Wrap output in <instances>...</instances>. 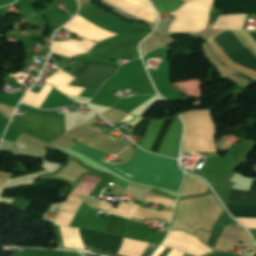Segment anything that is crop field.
Returning a JSON list of instances; mask_svg holds the SVG:
<instances>
[{
    "mask_svg": "<svg viewBox=\"0 0 256 256\" xmlns=\"http://www.w3.org/2000/svg\"><path fill=\"white\" fill-rule=\"evenodd\" d=\"M146 231L145 223L110 215L104 232L143 241Z\"/></svg>",
    "mask_w": 256,
    "mask_h": 256,
    "instance_id": "crop-field-8",
    "label": "crop field"
},
{
    "mask_svg": "<svg viewBox=\"0 0 256 256\" xmlns=\"http://www.w3.org/2000/svg\"><path fill=\"white\" fill-rule=\"evenodd\" d=\"M71 65L80 68L71 74L76 79L70 85L90 88H99L107 78L115 74L118 68L104 63H80L76 61Z\"/></svg>",
    "mask_w": 256,
    "mask_h": 256,
    "instance_id": "crop-field-6",
    "label": "crop field"
},
{
    "mask_svg": "<svg viewBox=\"0 0 256 256\" xmlns=\"http://www.w3.org/2000/svg\"><path fill=\"white\" fill-rule=\"evenodd\" d=\"M80 234L85 245L101 248L102 251L117 254L122 243V237L80 228Z\"/></svg>",
    "mask_w": 256,
    "mask_h": 256,
    "instance_id": "crop-field-9",
    "label": "crop field"
},
{
    "mask_svg": "<svg viewBox=\"0 0 256 256\" xmlns=\"http://www.w3.org/2000/svg\"><path fill=\"white\" fill-rule=\"evenodd\" d=\"M82 202V200H79L77 198L67 197L66 201L60 204L59 209L67 212L77 213Z\"/></svg>",
    "mask_w": 256,
    "mask_h": 256,
    "instance_id": "crop-field-15",
    "label": "crop field"
},
{
    "mask_svg": "<svg viewBox=\"0 0 256 256\" xmlns=\"http://www.w3.org/2000/svg\"><path fill=\"white\" fill-rule=\"evenodd\" d=\"M214 0H192L171 14L175 19L169 32L202 33L208 20V13Z\"/></svg>",
    "mask_w": 256,
    "mask_h": 256,
    "instance_id": "crop-field-5",
    "label": "crop field"
},
{
    "mask_svg": "<svg viewBox=\"0 0 256 256\" xmlns=\"http://www.w3.org/2000/svg\"><path fill=\"white\" fill-rule=\"evenodd\" d=\"M214 39L232 61L256 70V30L222 31Z\"/></svg>",
    "mask_w": 256,
    "mask_h": 256,
    "instance_id": "crop-field-4",
    "label": "crop field"
},
{
    "mask_svg": "<svg viewBox=\"0 0 256 256\" xmlns=\"http://www.w3.org/2000/svg\"><path fill=\"white\" fill-rule=\"evenodd\" d=\"M115 7L137 16L141 19H147L154 23L157 14L154 12L148 0H106ZM124 12V13H125Z\"/></svg>",
    "mask_w": 256,
    "mask_h": 256,
    "instance_id": "crop-field-10",
    "label": "crop field"
},
{
    "mask_svg": "<svg viewBox=\"0 0 256 256\" xmlns=\"http://www.w3.org/2000/svg\"><path fill=\"white\" fill-rule=\"evenodd\" d=\"M159 12L176 11L183 3L182 0H152Z\"/></svg>",
    "mask_w": 256,
    "mask_h": 256,
    "instance_id": "crop-field-14",
    "label": "crop field"
},
{
    "mask_svg": "<svg viewBox=\"0 0 256 256\" xmlns=\"http://www.w3.org/2000/svg\"><path fill=\"white\" fill-rule=\"evenodd\" d=\"M158 245L149 244L145 253L142 256H150L156 249Z\"/></svg>",
    "mask_w": 256,
    "mask_h": 256,
    "instance_id": "crop-field-21",
    "label": "crop field"
},
{
    "mask_svg": "<svg viewBox=\"0 0 256 256\" xmlns=\"http://www.w3.org/2000/svg\"><path fill=\"white\" fill-rule=\"evenodd\" d=\"M228 202L256 203V192L232 189Z\"/></svg>",
    "mask_w": 256,
    "mask_h": 256,
    "instance_id": "crop-field-13",
    "label": "crop field"
},
{
    "mask_svg": "<svg viewBox=\"0 0 256 256\" xmlns=\"http://www.w3.org/2000/svg\"><path fill=\"white\" fill-rule=\"evenodd\" d=\"M186 129L184 152H216L215 125L210 110H194L180 113Z\"/></svg>",
    "mask_w": 256,
    "mask_h": 256,
    "instance_id": "crop-field-3",
    "label": "crop field"
},
{
    "mask_svg": "<svg viewBox=\"0 0 256 256\" xmlns=\"http://www.w3.org/2000/svg\"><path fill=\"white\" fill-rule=\"evenodd\" d=\"M13 121L19 122L53 139H56L65 133L64 118L61 117L24 114L15 115Z\"/></svg>",
    "mask_w": 256,
    "mask_h": 256,
    "instance_id": "crop-field-7",
    "label": "crop field"
},
{
    "mask_svg": "<svg viewBox=\"0 0 256 256\" xmlns=\"http://www.w3.org/2000/svg\"><path fill=\"white\" fill-rule=\"evenodd\" d=\"M193 236H194V235H193ZM193 236H191V235H189V234H187V233H185V232H183V231H181V230H176V231H170V232H169V235H168V237H167V239L173 240V241H175V242H178V243H181V244H184V245L191 246V247H193V248H195V249H198V250H200V251H203V252H205V253H208V252H212V251H213L212 249L208 248V247L205 246L203 243H201V242L198 240L197 237H193ZM167 239L165 240L166 242L173 243V244H176V245H179V246H182V247L191 249V250H193V251H195V252H197V253H199V254H201V255L205 254V253L200 252V251H198V250H195V249H193V248H191V247L184 246V245L175 243V242L170 241V240H167ZM166 242H164L163 245H165V246H170V247H175V248H177V249H180V250H182V251H184V252H187V253H190V254H192V255L200 256V255H198V254H196V253H194V252H192V251H190V250H188V249H185V248H182V247L173 245V244H169V243H166Z\"/></svg>",
    "mask_w": 256,
    "mask_h": 256,
    "instance_id": "crop-field-11",
    "label": "crop field"
},
{
    "mask_svg": "<svg viewBox=\"0 0 256 256\" xmlns=\"http://www.w3.org/2000/svg\"><path fill=\"white\" fill-rule=\"evenodd\" d=\"M170 251H171V248L166 247V249L164 250V252L160 256H167Z\"/></svg>",
    "mask_w": 256,
    "mask_h": 256,
    "instance_id": "crop-field-22",
    "label": "crop field"
},
{
    "mask_svg": "<svg viewBox=\"0 0 256 256\" xmlns=\"http://www.w3.org/2000/svg\"><path fill=\"white\" fill-rule=\"evenodd\" d=\"M204 256H237V255H234V254H231V253H227V252H223V251H215V252H212V253H209V254H206Z\"/></svg>",
    "mask_w": 256,
    "mask_h": 256,
    "instance_id": "crop-field-20",
    "label": "crop field"
},
{
    "mask_svg": "<svg viewBox=\"0 0 256 256\" xmlns=\"http://www.w3.org/2000/svg\"><path fill=\"white\" fill-rule=\"evenodd\" d=\"M71 149L122 175L142 184L179 192L183 171L179 169L177 160L153 155L138 147L131 160L117 166L101 162L105 152L77 142Z\"/></svg>",
    "mask_w": 256,
    "mask_h": 256,
    "instance_id": "crop-field-1",
    "label": "crop field"
},
{
    "mask_svg": "<svg viewBox=\"0 0 256 256\" xmlns=\"http://www.w3.org/2000/svg\"><path fill=\"white\" fill-rule=\"evenodd\" d=\"M223 230H224V228H222L218 225H215V228L213 230V233H212L207 245L211 246L212 248H215L218 238L221 236Z\"/></svg>",
    "mask_w": 256,
    "mask_h": 256,
    "instance_id": "crop-field-17",
    "label": "crop field"
},
{
    "mask_svg": "<svg viewBox=\"0 0 256 256\" xmlns=\"http://www.w3.org/2000/svg\"><path fill=\"white\" fill-rule=\"evenodd\" d=\"M253 256H256V254H255V255H253Z\"/></svg>",
    "mask_w": 256,
    "mask_h": 256,
    "instance_id": "crop-field-25",
    "label": "crop field"
},
{
    "mask_svg": "<svg viewBox=\"0 0 256 256\" xmlns=\"http://www.w3.org/2000/svg\"><path fill=\"white\" fill-rule=\"evenodd\" d=\"M234 217L256 218V204L224 203Z\"/></svg>",
    "mask_w": 256,
    "mask_h": 256,
    "instance_id": "crop-field-12",
    "label": "crop field"
},
{
    "mask_svg": "<svg viewBox=\"0 0 256 256\" xmlns=\"http://www.w3.org/2000/svg\"><path fill=\"white\" fill-rule=\"evenodd\" d=\"M237 219L243 222L248 228H256V219H248V218H237Z\"/></svg>",
    "mask_w": 256,
    "mask_h": 256,
    "instance_id": "crop-field-19",
    "label": "crop field"
},
{
    "mask_svg": "<svg viewBox=\"0 0 256 256\" xmlns=\"http://www.w3.org/2000/svg\"><path fill=\"white\" fill-rule=\"evenodd\" d=\"M249 190H253V191H256V180L253 181L251 187Z\"/></svg>",
    "mask_w": 256,
    "mask_h": 256,
    "instance_id": "crop-field-23",
    "label": "crop field"
},
{
    "mask_svg": "<svg viewBox=\"0 0 256 256\" xmlns=\"http://www.w3.org/2000/svg\"><path fill=\"white\" fill-rule=\"evenodd\" d=\"M150 121H151V119L142 118L137 123V125H136V127H135V129H134L132 134H134V135H136V136H138V137L143 139ZM133 128L131 130H129V132H132Z\"/></svg>",
    "mask_w": 256,
    "mask_h": 256,
    "instance_id": "crop-field-16",
    "label": "crop field"
},
{
    "mask_svg": "<svg viewBox=\"0 0 256 256\" xmlns=\"http://www.w3.org/2000/svg\"><path fill=\"white\" fill-rule=\"evenodd\" d=\"M183 125L176 114L153 118L141 144L145 150L156 154L178 158Z\"/></svg>",
    "mask_w": 256,
    "mask_h": 256,
    "instance_id": "crop-field-2",
    "label": "crop field"
},
{
    "mask_svg": "<svg viewBox=\"0 0 256 256\" xmlns=\"http://www.w3.org/2000/svg\"><path fill=\"white\" fill-rule=\"evenodd\" d=\"M184 256H191V255H189V254L185 253V254H184Z\"/></svg>",
    "mask_w": 256,
    "mask_h": 256,
    "instance_id": "crop-field-24",
    "label": "crop field"
},
{
    "mask_svg": "<svg viewBox=\"0 0 256 256\" xmlns=\"http://www.w3.org/2000/svg\"><path fill=\"white\" fill-rule=\"evenodd\" d=\"M11 25V23L0 15V36L4 35L9 30Z\"/></svg>",
    "mask_w": 256,
    "mask_h": 256,
    "instance_id": "crop-field-18",
    "label": "crop field"
}]
</instances>
